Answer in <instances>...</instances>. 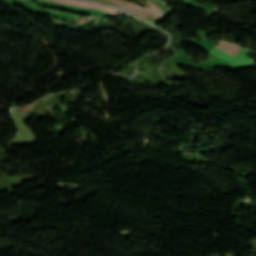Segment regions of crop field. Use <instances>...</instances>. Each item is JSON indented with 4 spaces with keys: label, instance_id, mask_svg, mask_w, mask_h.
<instances>
[{
    "label": "crop field",
    "instance_id": "crop-field-3",
    "mask_svg": "<svg viewBox=\"0 0 256 256\" xmlns=\"http://www.w3.org/2000/svg\"><path fill=\"white\" fill-rule=\"evenodd\" d=\"M148 5L151 7L150 9L146 8L143 9L145 11H147L148 13H150L152 16H154L156 19H158L159 21L167 18L164 13L161 11V9L156 6L154 3H152L151 1L148 0Z\"/></svg>",
    "mask_w": 256,
    "mask_h": 256
},
{
    "label": "crop field",
    "instance_id": "crop-field-2",
    "mask_svg": "<svg viewBox=\"0 0 256 256\" xmlns=\"http://www.w3.org/2000/svg\"><path fill=\"white\" fill-rule=\"evenodd\" d=\"M59 3H64V4H71V5H78V6H84V7H90L98 10H103V11H109L112 13L120 14L123 12L117 11L115 9L106 7L104 5L94 3V2H88V1H80V0H51Z\"/></svg>",
    "mask_w": 256,
    "mask_h": 256
},
{
    "label": "crop field",
    "instance_id": "crop-field-4",
    "mask_svg": "<svg viewBox=\"0 0 256 256\" xmlns=\"http://www.w3.org/2000/svg\"><path fill=\"white\" fill-rule=\"evenodd\" d=\"M139 20V19H138ZM141 21V20H140ZM143 22V21H142ZM144 23H146V22H144ZM146 24H148V23H146ZM148 25H150V24H148ZM150 26H152V25H150ZM152 27H154V26H152ZM155 28V27H154ZM157 29V28H156ZM159 30V29H158ZM164 33V32H163ZM165 34V33H164Z\"/></svg>",
    "mask_w": 256,
    "mask_h": 256
},
{
    "label": "crop field",
    "instance_id": "crop-field-1",
    "mask_svg": "<svg viewBox=\"0 0 256 256\" xmlns=\"http://www.w3.org/2000/svg\"><path fill=\"white\" fill-rule=\"evenodd\" d=\"M221 51H224L228 54H231L233 56H236V54L238 53V51L240 50L239 47H236L234 45H231V44H228L226 42H221L220 46L218 47H215ZM219 50H216V49H212L211 53L237 65L238 67L242 68V67H247V66H254L256 65L254 60H251L247 57H245L244 55L246 54L247 50L241 48V50L239 51V53L237 54V58L246 62L247 64L241 62L240 60H238L237 58L231 56V55H228L224 52H221ZM177 54L179 57H177L176 59L172 60V62L176 63V64H180V65H184V66H192V67H195V68H198V69H202V70H205V71H209L211 72L210 70H208V67H204V66H201V65H198L196 63H192L191 59H189L184 50H177Z\"/></svg>",
    "mask_w": 256,
    "mask_h": 256
}]
</instances>
